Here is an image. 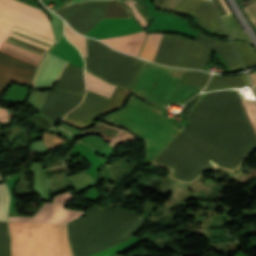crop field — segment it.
Instances as JSON below:
<instances>
[{
  "instance_id": "1",
  "label": "crop field",
  "mask_w": 256,
  "mask_h": 256,
  "mask_svg": "<svg viewBox=\"0 0 256 256\" xmlns=\"http://www.w3.org/2000/svg\"><path fill=\"white\" fill-rule=\"evenodd\" d=\"M256 147V134L235 90L206 93L183 131L155 163L191 182L206 168L235 169Z\"/></svg>"
},
{
  "instance_id": "2",
  "label": "crop field",
  "mask_w": 256,
  "mask_h": 256,
  "mask_svg": "<svg viewBox=\"0 0 256 256\" xmlns=\"http://www.w3.org/2000/svg\"><path fill=\"white\" fill-rule=\"evenodd\" d=\"M146 218L97 205L67 224L74 256H90L125 241ZM12 256H73L66 224L9 222Z\"/></svg>"
},
{
  "instance_id": "3",
  "label": "crop field",
  "mask_w": 256,
  "mask_h": 256,
  "mask_svg": "<svg viewBox=\"0 0 256 256\" xmlns=\"http://www.w3.org/2000/svg\"><path fill=\"white\" fill-rule=\"evenodd\" d=\"M17 25L54 39L45 13L16 0H0V44ZM35 66L0 52V91L11 82L30 84Z\"/></svg>"
},
{
  "instance_id": "4",
  "label": "crop field",
  "mask_w": 256,
  "mask_h": 256,
  "mask_svg": "<svg viewBox=\"0 0 256 256\" xmlns=\"http://www.w3.org/2000/svg\"><path fill=\"white\" fill-rule=\"evenodd\" d=\"M102 121L126 128L145 143V164L152 163L182 130L165 120L162 112L130 97L125 108L109 114Z\"/></svg>"
},
{
  "instance_id": "5",
  "label": "crop field",
  "mask_w": 256,
  "mask_h": 256,
  "mask_svg": "<svg viewBox=\"0 0 256 256\" xmlns=\"http://www.w3.org/2000/svg\"><path fill=\"white\" fill-rule=\"evenodd\" d=\"M211 49L218 52L229 70L241 67L229 42L202 32L194 40L163 34L154 61L169 66L203 69Z\"/></svg>"
},
{
  "instance_id": "6",
  "label": "crop field",
  "mask_w": 256,
  "mask_h": 256,
  "mask_svg": "<svg viewBox=\"0 0 256 256\" xmlns=\"http://www.w3.org/2000/svg\"><path fill=\"white\" fill-rule=\"evenodd\" d=\"M186 70L156 66L145 62L131 91L146 101L166 107L188 101L202 88L180 84Z\"/></svg>"
},
{
  "instance_id": "7",
  "label": "crop field",
  "mask_w": 256,
  "mask_h": 256,
  "mask_svg": "<svg viewBox=\"0 0 256 256\" xmlns=\"http://www.w3.org/2000/svg\"><path fill=\"white\" fill-rule=\"evenodd\" d=\"M86 43L85 70L109 83L130 89L143 60L120 54L95 40L86 39Z\"/></svg>"
},
{
  "instance_id": "8",
  "label": "crop field",
  "mask_w": 256,
  "mask_h": 256,
  "mask_svg": "<svg viewBox=\"0 0 256 256\" xmlns=\"http://www.w3.org/2000/svg\"><path fill=\"white\" fill-rule=\"evenodd\" d=\"M69 63L83 68V59L64 37L56 43L51 51L41 60L32 82L31 87L36 89H50L57 81L65 64Z\"/></svg>"
},
{
  "instance_id": "9",
  "label": "crop field",
  "mask_w": 256,
  "mask_h": 256,
  "mask_svg": "<svg viewBox=\"0 0 256 256\" xmlns=\"http://www.w3.org/2000/svg\"><path fill=\"white\" fill-rule=\"evenodd\" d=\"M111 0L85 1L53 12L60 15L77 32L85 34L105 15Z\"/></svg>"
},
{
  "instance_id": "10",
  "label": "crop field",
  "mask_w": 256,
  "mask_h": 256,
  "mask_svg": "<svg viewBox=\"0 0 256 256\" xmlns=\"http://www.w3.org/2000/svg\"><path fill=\"white\" fill-rule=\"evenodd\" d=\"M72 199L69 191L53 197L52 203L45 202L32 217H9L8 221L67 223L83 212L63 209L62 203Z\"/></svg>"
},
{
  "instance_id": "11",
  "label": "crop field",
  "mask_w": 256,
  "mask_h": 256,
  "mask_svg": "<svg viewBox=\"0 0 256 256\" xmlns=\"http://www.w3.org/2000/svg\"><path fill=\"white\" fill-rule=\"evenodd\" d=\"M143 30L133 19H103L85 36L95 39L126 35Z\"/></svg>"
},
{
  "instance_id": "12",
  "label": "crop field",
  "mask_w": 256,
  "mask_h": 256,
  "mask_svg": "<svg viewBox=\"0 0 256 256\" xmlns=\"http://www.w3.org/2000/svg\"><path fill=\"white\" fill-rule=\"evenodd\" d=\"M81 96H75L64 92L50 91L41 108V112L55 123L59 114L65 115L70 109L81 101Z\"/></svg>"
},
{
  "instance_id": "13",
  "label": "crop field",
  "mask_w": 256,
  "mask_h": 256,
  "mask_svg": "<svg viewBox=\"0 0 256 256\" xmlns=\"http://www.w3.org/2000/svg\"><path fill=\"white\" fill-rule=\"evenodd\" d=\"M107 101L108 98L86 90L83 102L65 117L85 125L104 109Z\"/></svg>"
},
{
  "instance_id": "14",
  "label": "crop field",
  "mask_w": 256,
  "mask_h": 256,
  "mask_svg": "<svg viewBox=\"0 0 256 256\" xmlns=\"http://www.w3.org/2000/svg\"><path fill=\"white\" fill-rule=\"evenodd\" d=\"M54 89L83 95V69L67 63Z\"/></svg>"
},
{
  "instance_id": "15",
  "label": "crop field",
  "mask_w": 256,
  "mask_h": 256,
  "mask_svg": "<svg viewBox=\"0 0 256 256\" xmlns=\"http://www.w3.org/2000/svg\"><path fill=\"white\" fill-rule=\"evenodd\" d=\"M144 37L145 31H142L127 36L100 39V41L124 53L138 56Z\"/></svg>"
},
{
  "instance_id": "16",
  "label": "crop field",
  "mask_w": 256,
  "mask_h": 256,
  "mask_svg": "<svg viewBox=\"0 0 256 256\" xmlns=\"http://www.w3.org/2000/svg\"><path fill=\"white\" fill-rule=\"evenodd\" d=\"M192 13L198 25L226 35L209 1L205 0Z\"/></svg>"
},
{
  "instance_id": "17",
  "label": "crop field",
  "mask_w": 256,
  "mask_h": 256,
  "mask_svg": "<svg viewBox=\"0 0 256 256\" xmlns=\"http://www.w3.org/2000/svg\"><path fill=\"white\" fill-rule=\"evenodd\" d=\"M249 85L246 76L238 77H222V76H212L208 85L205 88L209 90L232 87V86H244Z\"/></svg>"
},
{
  "instance_id": "18",
  "label": "crop field",
  "mask_w": 256,
  "mask_h": 256,
  "mask_svg": "<svg viewBox=\"0 0 256 256\" xmlns=\"http://www.w3.org/2000/svg\"><path fill=\"white\" fill-rule=\"evenodd\" d=\"M86 78V88L92 92L98 93L100 95L110 98L112 92L114 91V85L107 84L103 80L85 72Z\"/></svg>"
},
{
  "instance_id": "19",
  "label": "crop field",
  "mask_w": 256,
  "mask_h": 256,
  "mask_svg": "<svg viewBox=\"0 0 256 256\" xmlns=\"http://www.w3.org/2000/svg\"><path fill=\"white\" fill-rule=\"evenodd\" d=\"M0 51H3L5 53H8L10 55H13L15 57H18L20 59H23L25 61H28L30 63H33L36 65L37 61L40 58V55H37L35 53L29 52L27 50L18 48L16 46L10 45L8 43L3 42L0 46Z\"/></svg>"
},
{
  "instance_id": "20",
  "label": "crop field",
  "mask_w": 256,
  "mask_h": 256,
  "mask_svg": "<svg viewBox=\"0 0 256 256\" xmlns=\"http://www.w3.org/2000/svg\"><path fill=\"white\" fill-rule=\"evenodd\" d=\"M244 67L256 63V52L251 45L242 41H232Z\"/></svg>"
},
{
  "instance_id": "21",
  "label": "crop field",
  "mask_w": 256,
  "mask_h": 256,
  "mask_svg": "<svg viewBox=\"0 0 256 256\" xmlns=\"http://www.w3.org/2000/svg\"><path fill=\"white\" fill-rule=\"evenodd\" d=\"M161 35L162 34H159V33L147 34L139 56L152 61L155 55L158 43L160 41Z\"/></svg>"
},
{
  "instance_id": "22",
  "label": "crop field",
  "mask_w": 256,
  "mask_h": 256,
  "mask_svg": "<svg viewBox=\"0 0 256 256\" xmlns=\"http://www.w3.org/2000/svg\"><path fill=\"white\" fill-rule=\"evenodd\" d=\"M128 95H129L128 90L124 88L116 87L114 93L112 94L111 98L109 99L102 113H109L115 110L116 108L122 107Z\"/></svg>"
},
{
  "instance_id": "23",
  "label": "crop field",
  "mask_w": 256,
  "mask_h": 256,
  "mask_svg": "<svg viewBox=\"0 0 256 256\" xmlns=\"http://www.w3.org/2000/svg\"><path fill=\"white\" fill-rule=\"evenodd\" d=\"M231 39H243L250 44V40L246 37V35L243 33L237 22L235 21L232 14L227 15L225 17L221 18ZM253 45V44H252Z\"/></svg>"
},
{
  "instance_id": "24",
  "label": "crop field",
  "mask_w": 256,
  "mask_h": 256,
  "mask_svg": "<svg viewBox=\"0 0 256 256\" xmlns=\"http://www.w3.org/2000/svg\"><path fill=\"white\" fill-rule=\"evenodd\" d=\"M210 74L188 70L182 83L204 87Z\"/></svg>"
},
{
  "instance_id": "25",
  "label": "crop field",
  "mask_w": 256,
  "mask_h": 256,
  "mask_svg": "<svg viewBox=\"0 0 256 256\" xmlns=\"http://www.w3.org/2000/svg\"><path fill=\"white\" fill-rule=\"evenodd\" d=\"M64 32L66 38L77 47V49L81 52L82 56L87 57L85 37L74 33L70 28L66 26V24Z\"/></svg>"
},
{
  "instance_id": "26",
  "label": "crop field",
  "mask_w": 256,
  "mask_h": 256,
  "mask_svg": "<svg viewBox=\"0 0 256 256\" xmlns=\"http://www.w3.org/2000/svg\"><path fill=\"white\" fill-rule=\"evenodd\" d=\"M117 17H131L130 10L119 3V1L113 0L110 8L108 9L105 18H117Z\"/></svg>"
},
{
  "instance_id": "27",
  "label": "crop field",
  "mask_w": 256,
  "mask_h": 256,
  "mask_svg": "<svg viewBox=\"0 0 256 256\" xmlns=\"http://www.w3.org/2000/svg\"><path fill=\"white\" fill-rule=\"evenodd\" d=\"M9 241L6 223H0V256H10Z\"/></svg>"
},
{
  "instance_id": "28",
  "label": "crop field",
  "mask_w": 256,
  "mask_h": 256,
  "mask_svg": "<svg viewBox=\"0 0 256 256\" xmlns=\"http://www.w3.org/2000/svg\"><path fill=\"white\" fill-rule=\"evenodd\" d=\"M9 203V194L5 184L0 185V220L6 221Z\"/></svg>"
},
{
  "instance_id": "29",
  "label": "crop field",
  "mask_w": 256,
  "mask_h": 256,
  "mask_svg": "<svg viewBox=\"0 0 256 256\" xmlns=\"http://www.w3.org/2000/svg\"><path fill=\"white\" fill-rule=\"evenodd\" d=\"M101 124H97L93 128L83 131V134H85V133H99V134H103V135H107V136L113 137L115 135L120 134L123 131V130L119 131L121 129L116 128V127H112V128H116V129H119V130L108 128L110 126L105 127L106 125L103 126L104 124L103 125H101Z\"/></svg>"
},
{
  "instance_id": "30",
  "label": "crop field",
  "mask_w": 256,
  "mask_h": 256,
  "mask_svg": "<svg viewBox=\"0 0 256 256\" xmlns=\"http://www.w3.org/2000/svg\"><path fill=\"white\" fill-rule=\"evenodd\" d=\"M204 0H184L174 12L189 15L198 5H200Z\"/></svg>"
},
{
  "instance_id": "31",
  "label": "crop field",
  "mask_w": 256,
  "mask_h": 256,
  "mask_svg": "<svg viewBox=\"0 0 256 256\" xmlns=\"http://www.w3.org/2000/svg\"><path fill=\"white\" fill-rule=\"evenodd\" d=\"M251 22L254 29H256V2L242 8Z\"/></svg>"
},
{
  "instance_id": "32",
  "label": "crop field",
  "mask_w": 256,
  "mask_h": 256,
  "mask_svg": "<svg viewBox=\"0 0 256 256\" xmlns=\"http://www.w3.org/2000/svg\"><path fill=\"white\" fill-rule=\"evenodd\" d=\"M220 17L230 13L223 0H212Z\"/></svg>"
},
{
  "instance_id": "33",
  "label": "crop field",
  "mask_w": 256,
  "mask_h": 256,
  "mask_svg": "<svg viewBox=\"0 0 256 256\" xmlns=\"http://www.w3.org/2000/svg\"><path fill=\"white\" fill-rule=\"evenodd\" d=\"M183 0H167L163 3L159 9L171 12L175 7H177Z\"/></svg>"
},
{
  "instance_id": "34",
  "label": "crop field",
  "mask_w": 256,
  "mask_h": 256,
  "mask_svg": "<svg viewBox=\"0 0 256 256\" xmlns=\"http://www.w3.org/2000/svg\"><path fill=\"white\" fill-rule=\"evenodd\" d=\"M134 135L130 134L129 132H127L126 130L121 133L120 135L116 136L115 138H113L108 144L113 146L121 141H124L130 137H133Z\"/></svg>"
},
{
  "instance_id": "35",
  "label": "crop field",
  "mask_w": 256,
  "mask_h": 256,
  "mask_svg": "<svg viewBox=\"0 0 256 256\" xmlns=\"http://www.w3.org/2000/svg\"><path fill=\"white\" fill-rule=\"evenodd\" d=\"M242 101H243V100H242ZM243 104H244V106H245L247 112H248V110L256 109V103L243 101ZM255 111H256V110H255ZM255 111H254V110H251V111H249V112H250V114H251V116H252V118H253V120H254L255 125H256V113H255ZM249 112H248V114H249ZM250 114H249V116H250ZM251 116H250V118H251ZM252 118H251V120H252ZM253 120H252V122H253ZM254 123H253V125H254ZM255 125H254V127H255ZM255 129H256V127H255Z\"/></svg>"
},
{
  "instance_id": "36",
  "label": "crop field",
  "mask_w": 256,
  "mask_h": 256,
  "mask_svg": "<svg viewBox=\"0 0 256 256\" xmlns=\"http://www.w3.org/2000/svg\"><path fill=\"white\" fill-rule=\"evenodd\" d=\"M249 75H250L251 81L256 89V71L250 72Z\"/></svg>"
},
{
  "instance_id": "37",
  "label": "crop field",
  "mask_w": 256,
  "mask_h": 256,
  "mask_svg": "<svg viewBox=\"0 0 256 256\" xmlns=\"http://www.w3.org/2000/svg\"><path fill=\"white\" fill-rule=\"evenodd\" d=\"M51 1H52V0H51ZM65 1L69 3L71 0H65Z\"/></svg>"
}]
</instances>
